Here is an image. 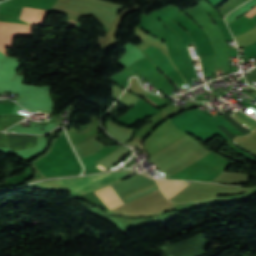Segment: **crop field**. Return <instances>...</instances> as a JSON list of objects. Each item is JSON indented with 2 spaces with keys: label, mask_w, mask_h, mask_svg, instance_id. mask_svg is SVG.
I'll return each instance as SVG.
<instances>
[{
  "label": "crop field",
  "mask_w": 256,
  "mask_h": 256,
  "mask_svg": "<svg viewBox=\"0 0 256 256\" xmlns=\"http://www.w3.org/2000/svg\"><path fill=\"white\" fill-rule=\"evenodd\" d=\"M128 176H129V170H123V171L99 174V175L63 178V179H57L54 181L59 182L68 187H71L82 193H85L92 189L98 188L100 186L106 185L108 183L114 182L119 179L126 178Z\"/></svg>",
  "instance_id": "obj_1"
},
{
  "label": "crop field",
  "mask_w": 256,
  "mask_h": 256,
  "mask_svg": "<svg viewBox=\"0 0 256 256\" xmlns=\"http://www.w3.org/2000/svg\"><path fill=\"white\" fill-rule=\"evenodd\" d=\"M33 25L0 21V52L6 55L7 47L13 48L15 36L32 37Z\"/></svg>",
  "instance_id": "obj_2"
},
{
  "label": "crop field",
  "mask_w": 256,
  "mask_h": 256,
  "mask_svg": "<svg viewBox=\"0 0 256 256\" xmlns=\"http://www.w3.org/2000/svg\"><path fill=\"white\" fill-rule=\"evenodd\" d=\"M147 176V175H145ZM149 177V176H148ZM97 197L109 208H115L122 205V202L117 197L110 185L94 191Z\"/></svg>",
  "instance_id": "obj_3"
},
{
  "label": "crop field",
  "mask_w": 256,
  "mask_h": 256,
  "mask_svg": "<svg viewBox=\"0 0 256 256\" xmlns=\"http://www.w3.org/2000/svg\"><path fill=\"white\" fill-rule=\"evenodd\" d=\"M156 181L161 191L168 199L189 184L185 181L157 180V179Z\"/></svg>",
  "instance_id": "obj_4"
},
{
  "label": "crop field",
  "mask_w": 256,
  "mask_h": 256,
  "mask_svg": "<svg viewBox=\"0 0 256 256\" xmlns=\"http://www.w3.org/2000/svg\"><path fill=\"white\" fill-rule=\"evenodd\" d=\"M49 11L39 9L24 8L20 19H23L31 24H44Z\"/></svg>",
  "instance_id": "obj_5"
},
{
  "label": "crop field",
  "mask_w": 256,
  "mask_h": 256,
  "mask_svg": "<svg viewBox=\"0 0 256 256\" xmlns=\"http://www.w3.org/2000/svg\"><path fill=\"white\" fill-rule=\"evenodd\" d=\"M254 8H256V6H255V7H253L252 9H250V10L246 13V15H247L251 10H253Z\"/></svg>",
  "instance_id": "obj_6"
}]
</instances>
